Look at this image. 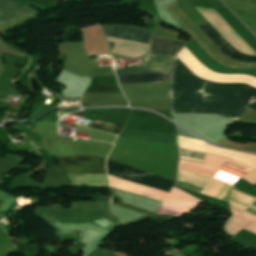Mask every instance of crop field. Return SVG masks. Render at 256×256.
Segmentation results:
<instances>
[{"instance_id": "1", "label": "crop field", "mask_w": 256, "mask_h": 256, "mask_svg": "<svg viewBox=\"0 0 256 256\" xmlns=\"http://www.w3.org/2000/svg\"><path fill=\"white\" fill-rule=\"evenodd\" d=\"M169 93L171 113H217L235 121L246 108L256 112L255 88L202 80L176 56L169 77Z\"/></svg>"}, {"instance_id": "2", "label": "crop field", "mask_w": 256, "mask_h": 256, "mask_svg": "<svg viewBox=\"0 0 256 256\" xmlns=\"http://www.w3.org/2000/svg\"><path fill=\"white\" fill-rule=\"evenodd\" d=\"M184 43L153 38L150 41V51L146 55L164 57L173 59L174 56L181 50ZM145 56L143 66L128 67L121 70H116L118 76L141 74V73H157V72H169L171 68L172 60ZM169 73L158 74H141L132 76L118 77L120 85L134 84L143 82H164L168 83Z\"/></svg>"}, {"instance_id": "3", "label": "crop field", "mask_w": 256, "mask_h": 256, "mask_svg": "<svg viewBox=\"0 0 256 256\" xmlns=\"http://www.w3.org/2000/svg\"><path fill=\"white\" fill-rule=\"evenodd\" d=\"M42 216L54 226L96 225L108 232L120 221L113 215L94 210L51 211L44 212Z\"/></svg>"}, {"instance_id": "4", "label": "crop field", "mask_w": 256, "mask_h": 256, "mask_svg": "<svg viewBox=\"0 0 256 256\" xmlns=\"http://www.w3.org/2000/svg\"><path fill=\"white\" fill-rule=\"evenodd\" d=\"M107 173L119 178L169 192L174 182L138 169L107 160Z\"/></svg>"}, {"instance_id": "5", "label": "crop field", "mask_w": 256, "mask_h": 256, "mask_svg": "<svg viewBox=\"0 0 256 256\" xmlns=\"http://www.w3.org/2000/svg\"><path fill=\"white\" fill-rule=\"evenodd\" d=\"M65 175L106 173L104 159L92 156L60 158Z\"/></svg>"}, {"instance_id": "6", "label": "crop field", "mask_w": 256, "mask_h": 256, "mask_svg": "<svg viewBox=\"0 0 256 256\" xmlns=\"http://www.w3.org/2000/svg\"><path fill=\"white\" fill-rule=\"evenodd\" d=\"M106 36L147 44L150 31L128 27H104Z\"/></svg>"}, {"instance_id": "7", "label": "crop field", "mask_w": 256, "mask_h": 256, "mask_svg": "<svg viewBox=\"0 0 256 256\" xmlns=\"http://www.w3.org/2000/svg\"><path fill=\"white\" fill-rule=\"evenodd\" d=\"M18 12L36 14V11L13 2L11 0H0V24L14 21Z\"/></svg>"}, {"instance_id": "8", "label": "crop field", "mask_w": 256, "mask_h": 256, "mask_svg": "<svg viewBox=\"0 0 256 256\" xmlns=\"http://www.w3.org/2000/svg\"><path fill=\"white\" fill-rule=\"evenodd\" d=\"M210 39L216 44L218 49L225 55L240 62H256V56H247L237 51L235 48L229 45L220 34L210 37Z\"/></svg>"}, {"instance_id": "9", "label": "crop field", "mask_w": 256, "mask_h": 256, "mask_svg": "<svg viewBox=\"0 0 256 256\" xmlns=\"http://www.w3.org/2000/svg\"><path fill=\"white\" fill-rule=\"evenodd\" d=\"M87 92L121 93L115 77L93 78Z\"/></svg>"}, {"instance_id": "10", "label": "crop field", "mask_w": 256, "mask_h": 256, "mask_svg": "<svg viewBox=\"0 0 256 256\" xmlns=\"http://www.w3.org/2000/svg\"><path fill=\"white\" fill-rule=\"evenodd\" d=\"M95 120L100 122L99 123H96L97 121L94 122L91 128L102 130V131L109 132L116 135H118L123 128L122 125H118V124H114V123H110V122H106L98 119H95Z\"/></svg>"}, {"instance_id": "11", "label": "crop field", "mask_w": 256, "mask_h": 256, "mask_svg": "<svg viewBox=\"0 0 256 256\" xmlns=\"http://www.w3.org/2000/svg\"><path fill=\"white\" fill-rule=\"evenodd\" d=\"M228 193H229V191L225 194V196L222 198V200H225L228 202Z\"/></svg>"}, {"instance_id": "12", "label": "crop field", "mask_w": 256, "mask_h": 256, "mask_svg": "<svg viewBox=\"0 0 256 256\" xmlns=\"http://www.w3.org/2000/svg\"><path fill=\"white\" fill-rule=\"evenodd\" d=\"M48 1H50V2H52V3L58 4L61 0H48Z\"/></svg>"}]
</instances>
